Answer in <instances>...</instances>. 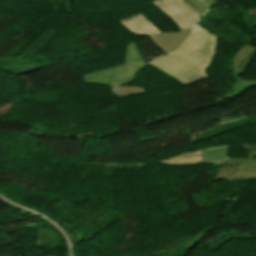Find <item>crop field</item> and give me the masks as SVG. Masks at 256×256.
Wrapping results in <instances>:
<instances>
[{
    "label": "crop field",
    "mask_w": 256,
    "mask_h": 256,
    "mask_svg": "<svg viewBox=\"0 0 256 256\" xmlns=\"http://www.w3.org/2000/svg\"><path fill=\"white\" fill-rule=\"evenodd\" d=\"M211 32L198 25L192 36L176 52L154 58L149 64L157 67L183 85L204 79L216 48Z\"/></svg>",
    "instance_id": "8a807250"
},
{
    "label": "crop field",
    "mask_w": 256,
    "mask_h": 256,
    "mask_svg": "<svg viewBox=\"0 0 256 256\" xmlns=\"http://www.w3.org/2000/svg\"><path fill=\"white\" fill-rule=\"evenodd\" d=\"M147 64L135 43L126 48L125 63L120 66L95 71L83 75L85 83L102 85H119L133 79L136 72Z\"/></svg>",
    "instance_id": "ac0d7876"
},
{
    "label": "crop field",
    "mask_w": 256,
    "mask_h": 256,
    "mask_svg": "<svg viewBox=\"0 0 256 256\" xmlns=\"http://www.w3.org/2000/svg\"><path fill=\"white\" fill-rule=\"evenodd\" d=\"M153 4L162 10L180 30L193 27L200 17L182 0H157Z\"/></svg>",
    "instance_id": "34b2d1b8"
},
{
    "label": "crop field",
    "mask_w": 256,
    "mask_h": 256,
    "mask_svg": "<svg viewBox=\"0 0 256 256\" xmlns=\"http://www.w3.org/2000/svg\"><path fill=\"white\" fill-rule=\"evenodd\" d=\"M191 29L175 33H159L149 36L153 42L164 52L170 53L180 47L183 41L190 35Z\"/></svg>",
    "instance_id": "412701ff"
},
{
    "label": "crop field",
    "mask_w": 256,
    "mask_h": 256,
    "mask_svg": "<svg viewBox=\"0 0 256 256\" xmlns=\"http://www.w3.org/2000/svg\"><path fill=\"white\" fill-rule=\"evenodd\" d=\"M120 23L132 32L139 35H151L160 32L141 13L126 18L120 21Z\"/></svg>",
    "instance_id": "f4fd0767"
},
{
    "label": "crop field",
    "mask_w": 256,
    "mask_h": 256,
    "mask_svg": "<svg viewBox=\"0 0 256 256\" xmlns=\"http://www.w3.org/2000/svg\"><path fill=\"white\" fill-rule=\"evenodd\" d=\"M234 177L236 179L243 177L244 180L255 179L256 170L240 169L239 166H223L218 169L217 174L213 180L228 179L231 181Z\"/></svg>",
    "instance_id": "dd49c442"
},
{
    "label": "crop field",
    "mask_w": 256,
    "mask_h": 256,
    "mask_svg": "<svg viewBox=\"0 0 256 256\" xmlns=\"http://www.w3.org/2000/svg\"><path fill=\"white\" fill-rule=\"evenodd\" d=\"M256 52V48L243 45L242 48L237 52V54L233 57L232 61L234 62L232 66V70L234 74L243 73L245 70L249 59Z\"/></svg>",
    "instance_id": "e52e79f7"
},
{
    "label": "crop field",
    "mask_w": 256,
    "mask_h": 256,
    "mask_svg": "<svg viewBox=\"0 0 256 256\" xmlns=\"http://www.w3.org/2000/svg\"><path fill=\"white\" fill-rule=\"evenodd\" d=\"M227 153V146L215 149H206L204 151L201 164L222 162L224 158L227 156Z\"/></svg>",
    "instance_id": "d8731c3e"
},
{
    "label": "crop field",
    "mask_w": 256,
    "mask_h": 256,
    "mask_svg": "<svg viewBox=\"0 0 256 256\" xmlns=\"http://www.w3.org/2000/svg\"><path fill=\"white\" fill-rule=\"evenodd\" d=\"M234 77H235V82H236L234 91L232 93H230L229 95H226L221 98H217L216 99L217 102L228 99L232 96L240 95V94L244 93L245 91H247L252 86L256 85V81H244L239 77V75H234Z\"/></svg>",
    "instance_id": "5a996713"
},
{
    "label": "crop field",
    "mask_w": 256,
    "mask_h": 256,
    "mask_svg": "<svg viewBox=\"0 0 256 256\" xmlns=\"http://www.w3.org/2000/svg\"><path fill=\"white\" fill-rule=\"evenodd\" d=\"M183 1L201 16L217 0H203L209 7H207L204 4V2H202L201 0H183Z\"/></svg>",
    "instance_id": "3316defc"
},
{
    "label": "crop field",
    "mask_w": 256,
    "mask_h": 256,
    "mask_svg": "<svg viewBox=\"0 0 256 256\" xmlns=\"http://www.w3.org/2000/svg\"><path fill=\"white\" fill-rule=\"evenodd\" d=\"M144 88H139V87H112L111 93L118 95L120 97H127L128 95L132 94H141L145 93Z\"/></svg>",
    "instance_id": "28ad6ade"
},
{
    "label": "crop field",
    "mask_w": 256,
    "mask_h": 256,
    "mask_svg": "<svg viewBox=\"0 0 256 256\" xmlns=\"http://www.w3.org/2000/svg\"><path fill=\"white\" fill-rule=\"evenodd\" d=\"M224 162L226 165H239L241 168L256 169V160L227 158Z\"/></svg>",
    "instance_id": "d1516ede"
},
{
    "label": "crop field",
    "mask_w": 256,
    "mask_h": 256,
    "mask_svg": "<svg viewBox=\"0 0 256 256\" xmlns=\"http://www.w3.org/2000/svg\"><path fill=\"white\" fill-rule=\"evenodd\" d=\"M244 150H248V155L249 154H256V146H252V147L245 146Z\"/></svg>",
    "instance_id": "22f410ed"
},
{
    "label": "crop field",
    "mask_w": 256,
    "mask_h": 256,
    "mask_svg": "<svg viewBox=\"0 0 256 256\" xmlns=\"http://www.w3.org/2000/svg\"><path fill=\"white\" fill-rule=\"evenodd\" d=\"M249 12L256 18V8L249 10Z\"/></svg>",
    "instance_id": "cbeb9de0"
}]
</instances>
